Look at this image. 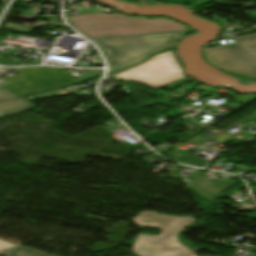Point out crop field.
Wrapping results in <instances>:
<instances>
[{"label": "crop field", "instance_id": "obj_1", "mask_svg": "<svg viewBox=\"0 0 256 256\" xmlns=\"http://www.w3.org/2000/svg\"><path fill=\"white\" fill-rule=\"evenodd\" d=\"M74 29L83 32L87 37L102 38L129 36L151 33H162L187 30L172 20L154 17L152 20L141 17H128L105 12L66 16Z\"/></svg>", "mask_w": 256, "mask_h": 256}, {"label": "crop field", "instance_id": "obj_2", "mask_svg": "<svg viewBox=\"0 0 256 256\" xmlns=\"http://www.w3.org/2000/svg\"><path fill=\"white\" fill-rule=\"evenodd\" d=\"M187 217H173L145 211L133 219L135 225L162 228L159 236L138 235L133 251L139 256H196L179 243L178 233L194 222Z\"/></svg>", "mask_w": 256, "mask_h": 256}, {"label": "crop field", "instance_id": "obj_3", "mask_svg": "<svg viewBox=\"0 0 256 256\" xmlns=\"http://www.w3.org/2000/svg\"><path fill=\"white\" fill-rule=\"evenodd\" d=\"M184 33L112 38L95 40L94 42L108 53L106 58L110 64L111 72L141 61L165 48L174 47L179 37Z\"/></svg>", "mask_w": 256, "mask_h": 256}, {"label": "crop field", "instance_id": "obj_4", "mask_svg": "<svg viewBox=\"0 0 256 256\" xmlns=\"http://www.w3.org/2000/svg\"><path fill=\"white\" fill-rule=\"evenodd\" d=\"M203 56L222 71L256 78V39L205 49Z\"/></svg>", "mask_w": 256, "mask_h": 256}, {"label": "crop field", "instance_id": "obj_5", "mask_svg": "<svg viewBox=\"0 0 256 256\" xmlns=\"http://www.w3.org/2000/svg\"><path fill=\"white\" fill-rule=\"evenodd\" d=\"M114 78L139 82L153 89L184 78L172 52L120 73Z\"/></svg>", "mask_w": 256, "mask_h": 256}, {"label": "crop field", "instance_id": "obj_6", "mask_svg": "<svg viewBox=\"0 0 256 256\" xmlns=\"http://www.w3.org/2000/svg\"><path fill=\"white\" fill-rule=\"evenodd\" d=\"M17 72L21 76L5 78L12 83L2 89L18 96L75 83L66 71L59 69L43 68Z\"/></svg>", "mask_w": 256, "mask_h": 256}, {"label": "crop field", "instance_id": "obj_7", "mask_svg": "<svg viewBox=\"0 0 256 256\" xmlns=\"http://www.w3.org/2000/svg\"><path fill=\"white\" fill-rule=\"evenodd\" d=\"M32 103L23 98H17L0 103V116L30 107Z\"/></svg>", "mask_w": 256, "mask_h": 256}, {"label": "crop field", "instance_id": "obj_8", "mask_svg": "<svg viewBox=\"0 0 256 256\" xmlns=\"http://www.w3.org/2000/svg\"><path fill=\"white\" fill-rule=\"evenodd\" d=\"M192 185H194L196 188H198L200 191L205 193L207 196H209L213 200L218 193L223 191L204 175Z\"/></svg>", "mask_w": 256, "mask_h": 256}, {"label": "crop field", "instance_id": "obj_9", "mask_svg": "<svg viewBox=\"0 0 256 256\" xmlns=\"http://www.w3.org/2000/svg\"><path fill=\"white\" fill-rule=\"evenodd\" d=\"M8 256H54V255L46 254L36 250L18 246L12 249L10 252H8Z\"/></svg>", "mask_w": 256, "mask_h": 256}, {"label": "crop field", "instance_id": "obj_10", "mask_svg": "<svg viewBox=\"0 0 256 256\" xmlns=\"http://www.w3.org/2000/svg\"><path fill=\"white\" fill-rule=\"evenodd\" d=\"M14 245L15 244H13V243H9V242H5V241L0 240V253L9 249V248H11Z\"/></svg>", "mask_w": 256, "mask_h": 256}, {"label": "crop field", "instance_id": "obj_11", "mask_svg": "<svg viewBox=\"0 0 256 256\" xmlns=\"http://www.w3.org/2000/svg\"><path fill=\"white\" fill-rule=\"evenodd\" d=\"M8 97L13 98V97H17V96L0 89V100L6 99Z\"/></svg>", "mask_w": 256, "mask_h": 256}, {"label": "crop field", "instance_id": "obj_12", "mask_svg": "<svg viewBox=\"0 0 256 256\" xmlns=\"http://www.w3.org/2000/svg\"><path fill=\"white\" fill-rule=\"evenodd\" d=\"M204 139H206V138H204V137H202L200 135H197V136L189 139L188 141L193 142L195 144H198V143L202 142Z\"/></svg>", "mask_w": 256, "mask_h": 256}, {"label": "crop field", "instance_id": "obj_13", "mask_svg": "<svg viewBox=\"0 0 256 256\" xmlns=\"http://www.w3.org/2000/svg\"><path fill=\"white\" fill-rule=\"evenodd\" d=\"M256 38V34L255 35H250V36H245V37H239V38H234V42L237 41H242V40H248V39H253Z\"/></svg>", "mask_w": 256, "mask_h": 256}, {"label": "crop field", "instance_id": "obj_14", "mask_svg": "<svg viewBox=\"0 0 256 256\" xmlns=\"http://www.w3.org/2000/svg\"><path fill=\"white\" fill-rule=\"evenodd\" d=\"M153 58H155V57H151V58L145 60L144 62L149 61V60H151V59H153ZM153 60H154V59H153ZM144 62H142V63H144ZM142 63H140V64H142ZM138 65H139V64H138ZM136 66H137V65H136ZM131 68H132V67H131ZM128 69H130V68H128ZM125 70H127V69H125ZM125 70H121V71H118V72L113 73V74L116 75V74H118V73H120V72H123V71H125Z\"/></svg>", "mask_w": 256, "mask_h": 256}, {"label": "crop field", "instance_id": "obj_15", "mask_svg": "<svg viewBox=\"0 0 256 256\" xmlns=\"http://www.w3.org/2000/svg\"><path fill=\"white\" fill-rule=\"evenodd\" d=\"M254 171H256V169Z\"/></svg>", "mask_w": 256, "mask_h": 256}, {"label": "crop field", "instance_id": "obj_16", "mask_svg": "<svg viewBox=\"0 0 256 256\" xmlns=\"http://www.w3.org/2000/svg\"><path fill=\"white\" fill-rule=\"evenodd\" d=\"M254 15H256V13Z\"/></svg>", "mask_w": 256, "mask_h": 256}]
</instances>
